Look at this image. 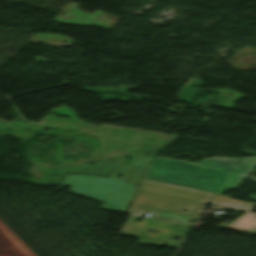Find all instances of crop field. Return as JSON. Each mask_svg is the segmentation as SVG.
<instances>
[{
	"instance_id": "crop-field-4",
	"label": "crop field",
	"mask_w": 256,
	"mask_h": 256,
	"mask_svg": "<svg viewBox=\"0 0 256 256\" xmlns=\"http://www.w3.org/2000/svg\"><path fill=\"white\" fill-rule=\"evenodd\" d=\"M227 227L254 233L256 232V214L247 212Z\"/></svg>"
},
{
	"instance_id": "crop-field-2",
	"label": "crop field",
	"mask_w": 256,
	"mask_h": 256,
	"mask_svg": "<svg viewBox=\"0 0 256 256\" xmlns=\"http://www.w3.org/2000/svg\"><path fill=\"white\" fill-rule=\"evenodd\" d=\"M213 195L202 190L143 179L126 213L143 216L148 212L155 214L151 218L192 226L193 223L188 222L192 217L197 218Z\"/></svg>"
},
{
	"instance_id": "crop-field-6",
	"label": "crop field",
	"mask_w": 256,
	"mask_h": 256,
	"mask_svg": "<svg viewBox=\"0 0 256 256\" xmlns=\"http://www.w3.org/2000/svg\"><path fill=\"white\" fill-rule=\"evenodd\" d=\"M250 199H254V200H256V195H250V197H249Z\"/></svg>"
},
{
	"instance_id": "crop-field-5",
	"label": "crop field",
	"mask_w": 256,
	"mask_h": 256,
	"mask_svg": "<svg viewBox=\"0 0 256 256\" xmlns=\"http://www.w3.org/2000/svg\"><path fill=\"white\" fill-rule=\"evenodd\" d=\"M231 198L232 197L229 196L215 194L210 202L235 208H241L245 210H248L256 206V203H247L243 201L233 200Z\"/></svg>"
},
{
	"instance_id": "crop-field-3",
	"label": "crop field",
	"mask_w": 256,
	"mask_h": 256,
	"mask_svg": "<svg viewBox=\"0 0 256 256\" xmlns=\"http://www.w3.org/2000/svg\"><path fill=\"white\" fill-rule=\"evenodd\" d=\"M138 219H142L141 223H136ZM191 227L184 226L180 224L160 221L156 219L140 217L136 215L130 214L129 219L123 226L120 234L123 236H133L138 238L137 243L145 244V245H154V246H175L179 247L183 238V234L188 233ZM147 230H155L152 234L147 232ZM159 233H156L157 231ZM177 233L176 235H173ZM169 236H176L180 239L178 241L175 240H167Z\"/></svg>"
},
{
	"instance_id": "crop-field-1",
	"label": "crop field",
	"mask_w": 256,
	"mask_h": 256,
	"mask_svg": "<svg viewBox=\"0 0 256 256\" xmlns=\"http://www.w3.org/2000/svg\"><path fill=\"white\" fill-rule=\"evenodd\" d=\"M256 167L252 158H209L198 164L155 157L144 178L223 194Z\"/></svg>"
}]
</instances>
